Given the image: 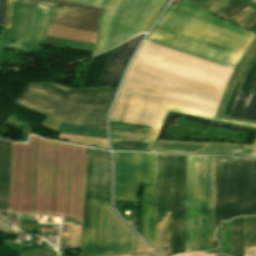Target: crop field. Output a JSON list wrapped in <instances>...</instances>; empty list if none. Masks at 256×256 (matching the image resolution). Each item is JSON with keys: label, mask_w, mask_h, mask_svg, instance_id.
I'll return each mask as SVG.
<instances>
[{"label": "crop field", "mask_w": 256, "mask_h": 256, "mask_svg": "<svg viewBox=\"0 0 256 256\" xmlns=\"http://www.w3.org/2000/svg\"><path fill=\"white\" fill-rule=\"evenodd\" d=\"M255 81L256 45L252 42L241 59L223 94L216 116L232 117L241 93L243 92L247 97H249ZM255 88L256 83L249 99L242 93L233 117L244 118Z\"/></svg>", "instance_id": "11"}, {"label": "crop field", "mask_w": 256, "mask_h": 256, "mask_svg": "<svg viewBox=\"0 0 256 256\" xmlns=\"http://www.w3.org/2000/svg\"><path fill=\"white\" fill-rule=\"evenodd\" d=\"M18 214L9 213V220L11 221V217L17 218Z\"/></svg>", "instance_id": "25"}, {"label": "crop field", "mask_w": 256, "mask_h": 256, "mask_svg": "<svg viewBox=\"0 0 256 256\" xmlns=\"http://www.w3.org/2000/svg\"><path fill=\"white\" fill-rule=\"evenodd\" d=\"M115 93L29 84L14 103L62 122L106 128L108 107Z\"/></svg>", "instance_id": "4"}, {"label": "crop field", "mask_w": 256, "mask_h": 256, "mask_svg": "<svg viewBox=\"0 0 256 256\" xmlns=\"http://www.w3.org/2000/svg\"><path fill=\"white\" fill-rule=\"evenodd\" d=\"M232 256H244L243 217L232 219Z\"/></svg>", "instance_id": "18"}, {"label": "crop field", "mask_w": 256, "mask_h": 256, "mask_svg": "<svg viewBox=\"0 0 256 256\" xmlns=\"http://www.w3.org/2000/svg\"><path fill=\"white\" fill-rule=\"evenodd\" d=\"M199 227V156H187L186 251L196 250ZM200 249H212L214 157L200 156Z\"/></svg>", "instance_id": "8"}, {"label": "crop field", "mask_w": 256, "mask_h": 256, "mask_svg": "<svg viewBox=\"0 0 256 256\" xmlns=\"http://www.w3.org/2000/svg\"><path fill=\"white\" fill-rule=\"evenodd\" d=\"M6 0H0V25L2 26L4 14H5Z\"/></svg>", "instance_id": "22"}, {"label": "crop field", "mask_w": 256, "mask_h": 256, "mask_svg": "<svg viewBox=\"0 0 256 256\" xmlns=\"http://www.w3.org/2000/svg\"><path fill=\"white\" fill-rule=\"evenodd\" d=\"M216 256H224V255H216Z\"/></svg>", "instance_id": "28"}, {"label": "crop field", "mask_w": 256, "mask_h": 256, "mask_svg": "<svg viewBox=\"0 0 256 256\" xmlns=\"http://www.w3.org/2000/svg\"><path fill=\"white\" fill-rule=\"evenodd\" d=\"M114 256H128V255H114Z\"/></svg>", "instance_id": "27"}, {"label": "crop field", "mask_w": 256, "mask_h": 256, "mask_svg": "<svg viewBox=\"0 0 256 256\" xmlns=\"http://www.w3.org/2000/svg\"><path fill=\"white\" fill-rule=\"evenodd\" d=\"M145 41L235 70L256 34L187 0L169 6Z\"/></svg>", "instance_id": "2"}, {"label": "crop field", "mask_w": 256, "mask_h": 256, "mask_svg": "<svg viewBox=\"0 0 256 256\" xmlns=\"http://www.w3.org/2000/svg\"><path fill=\"white\" fill-rule=\"evenodd\" d=\"M11 142L0 140V210L7 211L10 186Z\"/></svg>", "instance_id": "15"}, {"label": "crop field", "mask_w": 256, "mask_h": 256, "mask_svg": "<svg viewBox=\"0 0 256 256\" xmlns=\"http://www.w3.org/2000/svg\"><path fill=\"white\" fill-rule=\"evenodd\" d=\"M60 132L106 138V129H96L64 123Z\"/></svg>", "instance_id": "19"}, {"label": "crop field", "mask_w": 256, "mask_h": 256, "mask_svg": "<svg viewBox=\"0 0 256 256\" xmlns=\"http://www.w3.org/2000/svg\"><path fill=\"white\" fill-rule=\"evenodd\" d=\"M235 0H228L227 2H225L222 6H220L218 9H216V11H218V12H220V11H222L224 8H226L228 5H230L231 3H233ZM248 8H250V7H248L247 5H245V4H243V3H241L240 1H235L233 4H231L229 7H227L226 9H224L221 13H223V14H225V15H227V16H230V17H232V18H236V17H238L240 14H242L244 11H246ZM216 11H214V12H212V13H214V14H216V15H218V16H220V17H222V18H224V19H226V20H229V21H231V22H234V23H236V24H238V25H241V26H243V27H245L246 26V24H244L250 17H252L255 13H256V11L254 10V9H250L248 12L246 11L245 13H243L241 16H239L238 18H237V20H239V21H241V22H244V23H241V22H239V21H237V20H233V19H231V18H229V17H227V16H225V15H223V14H220V13H218V12H216Z\"/></svg>", "instance_id": "16"}, {"label": "crop field", "mask_w": 256, "mask_h": 256, "mask_svg": "<svg viewBox=\"0 0 256 256\" xmlns=\"http://www.w3.org/2000/svg\"><path fill=\"white\" fill-rule=\"evenodd\" d=\"M104 9L98 19L94 54L144 33L167 0H63Z\"/></svg>", "instance_id": "7"}, {"label": "crop field", "mask_w": 256, "mask_h": 256, "mask_svg": "<svg viewBox=\"0 0 256 256\" xmlns=\"http://www.w3.org/2000/svg\"><path fill=\"white\" fill-rule=\"evenodd\" d=\"M33 215L20 214L19 221L21 222H32Z\"/></svg>", "instance_id": "23"}, {"label": "crop field", "mask_w": 256, "mask_h": 256, "mask_svg": "<svg viewBox=\"0 0 256 256\" xmlns=\"http://www.w3.org/2000/svg\"><path fill=\"white\" fill-rule=\"evenodd\" d=\"M116 200L138 201L143 182V153L115 152ZM155 153H144L143 237L154 244Z\"/></svg>", "instance_id": "10"}, {"label": "crop field", "mask_w": 256, "mask_h": 256, "mask_svg": "<svg viewBox=\"0 0 256 256\" xmlns=\"http://www.w3.org/2000/svg\"><path fill=\"white\" fill-rule=\"evenodd\" d=\"M239 215H256V161L216 159L215 228Z\"/></svg>", "instance_id": "9"}, {"label": "crop field", "mask_w": 256, "mask_h": 256, "mask_svg": "<svg viewBox=\"0 0 256 256\" xmlns=\"http://www.w3.org/2000/svg\"><path fill=\"white\" fill-rule=\"evenodd\" d=\"M218 1H220V0H208L206 3H204L202 6H200V7H202V8H204V9H209L211 6H213L215 3H217Z\"/></svg>", "instance_id": "24"}, {"label": "crop field", "mask_w": 256, "mask_h": 256, "mask_svg": "<svg viewBox=\"0 0 256 256\" xmlns=\"http://www.w3.org/2000/svg\"><path fill=\"white\" fill-rule=\"evenodd\" d=\"M185 156L156 153L155 245L169 243L168 254L184 252Z\"/></svg>", "instance_id": "5"}, {"label": "crop field", "mask_w": 256, "mask_h": 256, "mask_svg": "<svg viewBox=\"0 0 256 256\" xmlns=\"http://www.w3.org/2000/svg\"><path fill=\"white\" fill-rule=\"evenodd\" d=\"M251 30H256V25H254L252 28H251Z\"/></svg>", "instance_id": "26"}, {"label": "crop field", "mask_w": 256, "mask_h": 256, "mask_svg": "<svg viewBox=\"0 0 256 256\" xmlns=\"http://www.w3.org/2000/svg\"><path fill=\"white\" fill-rule=\"evenodd\" d=\"M245 118L256 120V91L252 97V100L250 102L249 109Z\"/></svg>", "instance_id": "21"}, {"label": "crop field", "mask_w": 256, "mask_h": 256, "mask_svg": "<svg viewBox=\"0 0 256 256\" xmlns=\"http://www.w3.org/2000/svg\"><path fill=\"white\" fill-rule=\"evenodd\" d=\"M101 11L85 5L60 1L53 12L50 24L96 32L97 18Z\"/></svg>", "instance_id": "13"}, {"label": "crop field", "mask_w": 256, "mask_h": 256, "mask_svg": "<svg viewBox=\"0 0 256 256\" xmlns=\"http://www.w3.org/2000/svg\"><path fill=\"white\" fill-rule=\"evenodd\" d=\"M110 154L87 147L85 206L80 255H102L108 207ZM105 254L136 252L137 236L116 215L110 203Z\"/></svg>", "instance_id": "3"}, {"label": "crop field", "mask_w": 256, "mask_h": 256, "mask_svg": "<svg viewBox=\"0 0 256 256\" xmlns=\"http://www.w3.org/2000/svg\"><path fill=\"white\" fill-rule=\"evenodd\" d=\"M143 35L144 34L115 48L101 73L98 86L112 88L117 87L124 68Z\"/></svg>", "instance_id": "14"}, {"label": "crop field", "mask_w": 256, "mask_h": 256, "mask_svg": "<svg viewBox=\"0 0 256 256\" xmlns=\"http://www.w3.org/2000/svg\"><path fill=\"white\" fill-rule=\"evenodd\" d=\"M245 246H256V217H244ZM245 256H256V247H245Z\"/></svg>", "instance_id": "17"}, {"label": "crop field", "mask_w": 256, "mask_h": 256, "mask_svg": "<svg viewBox=\"0 0 256 256\" xmlns=\"http://www.w3.org/2000/svg\"><path fill=\"white\" fill-rule=\"evenodd\" d=\"M16 1L28 3L31 5H35V6L51 9V10H53L59 2V0H16ZM11 6H12V0H7L6 19H5L4 29H9V26H10Z\"/></svg>", "instance_id": "20"}, {"label": "crop field", "mask_w": 256, "mask_h": 256, "mask_svg": "<svg viewBox=\"0 0 256 256\" xmlns=\"http://www.w3.org/2000/svg\"><path fill=\"white\" fill-rule=\"evenodd\" d=\"M233 70L143 42L110 119L158 127L166 106L216 115Z\"/></svg>", "instance_id": "1"}, {"label": "crop field", "mask_w": 256, "mask_h": 256, "mask_svg": "<svg viewBox=\"0 0 256 256\" xmlns=\"http://www.w3.org/2000/svg\"><path fill=\"white\" fill-rule=\"evenodd\" d=\"M169 110L214 120L256 126V121L247 119L213 117L167 107L159 128L125 124L110 120L111 143L152 150L168 116ZM155 151L256 157V136L252 145L159 140Z\"/></svg>", "instance_id": "6"}, {"label": "crop field", "mask_w": 256, "mask_h": 256, "mask_svg": "<svg viewBox=\"0 0 256 256\" xmlns=\"http://www.w3.org/2000/svg\"><path fill=\"white\" fill-rule=\"evenodd\" d=\"M52 12L13 1L7 45L25 49L39 48L49 27Z\"/></svg>", "instance_id": "12"}]
</instances>
